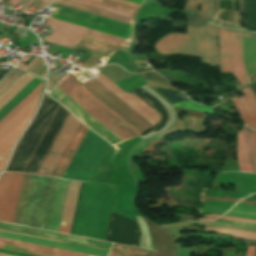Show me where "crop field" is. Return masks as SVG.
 <instances>
[{"instance_id":"crop-field-3","label":"crop field","mask_w":256,"mask_h":256,"mask_svg":"<svg viewBox=\"0 0 256 256\" xmlns=\"http://www.w3.org/2000/svg\"><path fill=\"white\" fill-rule=\"evenodd\" d=\"M156 50L160 54H177L202 57L210 67L218 65L216 26L188 25V35L170 33L159 40Z\"/></svg>"},{"instance_id":"crop-field-14","label":"crop field","mask_w":256,"mask_h":256,"mask_svg":"<svg viewBox=\"0 0 256 256\" xmlns=\"http://www.w3.org/2000/svg\"><path fill=\"white\" fill-rule=\"evenodd\" d=\"M244 96L231 99L243 124L256 129V97L249 86L241 90Z\"/></svg>"},{"instance_id":"crop-field-43","label":"crop field","mask_w":256,"mask_h":256,"mask_svg":"<svg viewBox=\"0 0 256 256\" xmlns=\"http://www.w3.org/2000/svg\"><path fill=\"white\" fill-rule=\"evenodd\" d=\"M236 205H238V206H244V207H250V208H256V206H254V205H247V204H241V203H238V204H236Z\"/></svg>"},{"instance_id":"crop-field-8","label":"crop field","mask_w":256,"mask_h":256,"mask_svg":"<svg viewBox=\"0 0 256 256\" xmlns=\"http://www.w3.org/2000/svg\"><path fill=\"white\" fill-rule=\"evenodd\" d=\"M40 94L0 130V171H2L18 136L31 118Z\"/></svg>"},{"instance_id":"crop-field-44","label":"crop field","mask_w":256,"mask_h":256,"mask_svg":"<svg viewBox=\"0 0 256 256\" xmlns=\"http://www.w3.org/2000/svg\"><path fill=\"white\" fill-rule=\"evenodd\" d=\"M251 130V133H252V136H253V139H254V142H255V146H256V132L252 129Z\"/></svg>"},{"instance_id":"crop-field-40","label":"crop field","mask_w":256,"mask_h":256,"mask_svg":"<svg viewBox=\"0 0 256 256\" xmlns=\"http://www.w3.org/2000/svg\"><path fill=\"white\" fill-rule=\"evenodd\" d=\"M0 230H2V229H0ZM3 231H8V230H3ZM8 232H13V231H8ZM14 233H18V232H14ZM19 234H23V233H19ZM25 235H28V234H25ZM30 236H34V235H30ZM36 237H39V236H36ZM41 238H44V237H41ZM47 239H49V238H47ZM52 240H55V239H52ZM57 241H60V240H57ZM63 242H65V241H63ZM68 243H70V242H68ZM74 244H76V243H74ZM79 245H81V244H79ZM86 246V245H85ZM91 247V246H90ZM102 249V248H101Z\"/></svg>"},{"instance_id":"crop-field-38","label":"crop field","mask_w":256,"mask_h":256,"mask_svg":"<svg viewBox=\"0 0 256 256\" xmlns=\"http://www.w3.org/2000/svg\"><path fill=\"white\" fill-rule=\"evenodd\" d=\"M254 250L255 248L248 247L246 256H254Z\"/></svg>"},{"instance_id":"crop-field-27","label":"crop field","mask_w":256,"mask_h":256,"mask_svg":"<svg viewBox=\"0 0 256 256\" xmlns=\"http://www.w3.org/2000/svg\"><path fill=\"white\" fill-rule=\"evenodd\" d=\"M204 232L231 233V235H234V236L256 240V232H247V231L222 229V228H210V227H205Z\"/></svg>"},{"instance_id":"crop-field-28","label":"crop field","mask_w":256,"mask_h":256,"mask_svg":"<svg viewBox=\"0 0 256 256\" xmlns=\"http://www.w3.org/2000/svg\"><path fill=\"white\" fill-rule=\"evenodd\" d=\"M242 131L245 137L248 154L251 158L252 166L254 168V173H256V150H255L254 142H253L251 133L247 129L244 128L242 129Z\"/></svg>"},{"instance_id":"crop-field-24","label":"crop field","mask_w":256,"mask_h":256,"mask_svg":"<svg viewBox=\"0 0 256 256\" xmlns=\"http://www.w3.org/2000/svg\"><path fill=\"white\" fill-rule=\"evenodd\" d=\"M237 154L240 171L253 173L242 131L238 133Z\"/></svg>"},{"instance_id":"crop-field-51","label":"crop field","mask_w":256,"mask_h":256,"mask_svg":"<svg viewBox=\"0 0 256 256\" xmlns=\"http://www.w3.org/2000/svg\"><path fill=\"white\" fill-rule=\"evenodd\" d=\"M0 256H11V255H6V254H1V253H0Z\"/></svg>"},{"instance_id":"crop-field-18","label":"crop field","mask_w":256,"mask_h":256,"mask_svg":"<svg viewBox=\"0 0 256 256\" xmlns=\"http://www.w3.org/2000/svg\"><path fill=\"white\" fill-rule=\"evenodd\" d=\"M87 129L88 128L82 125L80 122L76 132L74 133L69 145L67 146L63 156L61 157L57 167L55 168L51 176L62 178Z\"/></svg>"},{"instance_id":"crop-field-46","label":"crop field","mask_w":256,"mask_h":256,"mask_svg":"<svg viewBox=\"0 0 256 256\" xmlns=\"http://www.w3.org/2000/svg\"><path fill=\"white\" fill-rule=\"evenodd\" d=\"M21 0H10V4H15V5H18V3L20 2Z\"/></svg>"},{"instance_id":"crop-field-37","label":"crop field","mask_w":256,"mask_h":256,"mask_svg":"<svg viewBox=\"0 0 256 256\" xmlns=\"http://www.w3.org/2000/svg\"><path fill=\"white\" fill-rule=\"evenodd\" d=\"M37 58H38V56H36L27 66H25L23 64H19L18 67L26 70Z\"/></svg>"},{"instance_id":"crop-field-36","label":"crop field","mask_w":256,"mask_h":256,"mask_svg":"<svg viewBox=\"0 0 256 256\" xmlns=\"http://www.w3.org/2000/svg\"><path fill=\"white\" fill-rule=\"evenodd\" d=\"M200 202L215 203V204H230V205L236 204V203H234V202L206 201V200H200Z\"/></svg>"},{"instance_id":"crop-field-39","label":"crop field","mask_w":256,"mask_h":256,"mask_svg":"<svg viewBox=\"0 0 256 256\" xmlns=\"http://www.w3.org/2000/svg\"><path fill=\"white\" fill-rule=\"evenodd\" d=\"M47 5V3H45V2H41V4L38 6V8L35 10V12H37V11H39V10H41L43 7H45ZM34 12V13H35Z\"/></svg>"},{"instance_id":"crop-field-15","label":"crop field","mask_w":256,"mask_h":256,"mask_svg":"<svg viewBox=\"0 0 256 256\" xmlns=\"http://www.w3.org/2000/svg\"><path fill=\"white\" fill-rule=\"evenodd\" d=\"M202 4V12H198L199 3ZM187 15V23L201 26L208 23L211 16L214 14L213 0H187L183 9Z\"/></svg>"},{"instance_id":"crop-field-42","label":"crop field","mask_w":256,"mask_h":256,"mask_svg":"<svg viewBox=\"0 0 256 256\" xmlns=\"http://www.w3.org/2000/svg\"><path fill=\"white\" fill-rule=\"evenodd\" d=\"M126 1H129V2H133V3H136V4L142 5L143 2H145L146 0H139V1H143V2H139V1H136V0H126Z\"/></svg>"},{"instance_id":"crop-field-12","label":"crop field","mask_w":256,"mask_h":256,"mask_svg":"<svg viewBox=\"0 0 256 256\" xmlns=\"http://www.w3.org/2000/svg\"><path fill=\"white\" fill-rule=\"evenodd\" d=\"M79 122H80L79 120H77L74 116L70 114L57 140L55 141L43 165L41 166L38 172V175L50 176L57 161L59 160L61 154L63 153L66 145L68 144L75 129L77 128Z\"/></svg>"},{"instance_id":"crop-field-6","label":"crop field","mask_w":256,"mask_h":256,"mask_svg":"<svg viewBox=\"0 0 256 256\" xmlns=\"http://www.w3.org/2000/svg\"><path fill=\"white\" fill-rule=\"evenodd\" d=\"M221 72H232L242 86L249 84L243 64L242 32L218 28Z\"/></svg>"},{"instance_id":"crop-field-17","label":"crop field","mask_w":256,"mask_h":256,"mask_svg":"<svg viewBox=\"0 0 256 256\" xmlns=\"http://www.w3.org/2000/svg\"><path fill=\"white\" fill-rule=\"evenodd\" d=\"M69 1H73V2H76V3H80V4H83V5H87V6H90V7H94V8L100 9V10H104V11H107V12H111V13H114V14H118V15H121V16L132 18V19H133V15H134L133 13H135V11L140 7V5H136V4H133V3L126 2V1H122V0H90V1L97 2V3L112 6V7H115V8H119V9H122V10H126V11H129V12H133V13H129V12L122 11V10H119V9L111 8V7L104 6V5H101V4H97V3H94V2H90V1H87V0H69Z\"/></svg>"},{"instance_id":"crop-field-49","label":"crop field","mask_w":256,"mask_h":256,"mask_svg":"<svg viewBox=\"0 0 256 256\" xmlns=\"http://www.w3.org/2000/svg\"><path fill=\"white\" fill-rule=\"evenodd\" d=\"M45 94H46V93H45ZM44 96H45V95H44ZM48 97H49V96H48ZM51 100H52V99H51ZM23 135H24V134H23ZM21 138H22V137H21ZM20 141H21V140H20ZM20 141H19V142H20ZM18 144H19V143H18ZM13 156H14V155H13ZM12 158H13V157H12ZM11 160H12V159H11ZM10 162H11V161H10ZM9 164H10V163H9ZM8 166H9V165H8ZM6 170H7V169H6ZM6 170H5V172H14V171H6Z\"/></svg>"},{"instance_id":"crop-field-7","label":"crop field","mask_w":256,"mask_h":256,"mask_svg":"<svg viewBox=\"0 0 256 256\" xmlns=\"http://www.w3.org/2000/svg\"><path fill=\"white\" fill-rule=\"evenodd\" d=\"M45 23V22H44ZM51 25L50 28L56 29L53 34L45 37L44 40L52 42L64 47L74 49L76 45L80 42L81 38L86 35L93 38L101 39L111 43L119 44L128 47L130 41L108 34L92 31L83 27H79L67 22H63L54 18L49 17L46 23L43 25L47 27Z\"/></svg>"},{"instance_id":"crop-field-31","label":"crop field","mask_w":256,"mask_h":256,"mask_svg":"<svg viewBox=\"0 0 256 256\" xmlns=\"http://www.w3.org/2000/svg\"><path fill=\"white\" fill-rule=\"evenodd\" d=\"M174 106L200 111V112H203V113H206V114H209V115H211V113L213 111V108H211V107L196 104V103L191 102L190 100L184 101V102H181V103H177Z\"/></svg>"},{"instance_id":"crop-field-53","label":"crop field","mask_w":256,"mask_h":256,"mask_svg":"<svg viewBox=\"0 0 256 256\" xmlns=\"http://www.w3.org/2000/svg\"><path fill=\"white\" fill-rule=\"evenodd\" d=\"M62 106V105H61ZM63 107V106H62ZM64 108V107H63ZM65 109V108H64ZM66 110V109H65ZM67 111V110H66ZM68 112V111H67ZM69 113V112H68ZM70 114V113H69ZM69 116V115H68ZM64 125V124H63ZM63 127V126H62ZM59 134V133H58ZM58 136V135H57ZM53 145V144H52ZM42 165V164H41Z\"/></svg>"},{"instance_id":"crop-field-34","label":"crop field","mask_w":256,"mask_h":256,"mask_svg":"<svg viewBox=\"0 0 256 256\" xmlns=\"http://www.w3.org/2000/svg\"><path fill=\"white\" fill-rule=\"evenodd\" d=\"M220 219L229 220V221H240V222L256 223V221H254V220H243V219L230 218V217H225V216L220 217Z\"/></svg>"},{"instance_id":"crop-field-33","label":"crop field","mask_w":256,"mask_h":256,"mask_svg":"<svg viewBox=\"0 0 256 256\" xmlns=\"http://www.w3.org/2000/svg\"><path fill=\"white\" fill-rule=\"evenodd\" d=\"M200 199H207V200H223V201H235L238 202L237 199H229V198H217V197H206V196H200Z\"/></svg>"},{"instance_id":"crop-field-47","label":"crop field","mask_w":256,"mask_h":256,"mask_svg":"<svg viewBox=\"0 0 256 256\" xmlns=\"http://www.w3.org/2000/svg\"><path fill=\"white\" fill-rule=\"evenodd\" d=\"M241 203H247V204H256V202H251V201H245V200H242L240 201Z\"/></svg>"},{"instance_id":"crop-field-2","label":"crop field","mask_w":256,"mask_h":256,"mask_svg":"<svg viewBox=\"0 0 256 256\" xmlns=\"http://www.w3.org/2000/svg\"><path fill=\"white\" fill-rule=\"evenodd\" d=\"M115 188L82 182L70 234L104 240Z\"/></svg>"},{"instance_id":"crop-field-4","label":"crop field","mask_w":256,"mask_h":256,"mask_svg":"<svg viewBox=\"0 0 256 256\" xmlns=\"http://www.w3.org/2000/svg\"><path fill=\"white\" fill-rule=\"evenodd\" d=\"M108 145L88 129L63 178L89 181Z\"/></svg>"},{"instance_id":"crop-field-9","label":"crop field","mask_w":256,"mask_h":256,"mask_svg":"<svg viewBox=\"0 0 256 256\" xmlns=\"http://www.w3.org/2000/svg\"><path fill=\"white\" fill-rule=\"evenodd\" d=\"M50 184L32 179L21 225L40 228Z\"/></svg>"},{"instance_id":"crop-field-45","label":"crop field","mask_w":256,"mask_h":256,"mask_svg":"<svg viewBox=\"0 0 256 256\" xmlns=\"http://www.w3.org/2000/svg\"><path fill=\"white\" fill-rule=\"evenodd\" d=\"M32 2V0H29L26 5L22 8L21 12H24L25 9L28 7V5Z\"/></svg>"},{"instance_id":"crop-field-19","label":"crop field","mask_w":256,"mask_h":256,"mask_svg":"<svg viewBox=\"0 0 256 256\" xmlns=\"http://www.w3.org/2000/svg\"><path fill=\"white\" fill-rule=\"evenodd\" d=\"M69 181L59 179L55 198L51 210V215L48 223L47 229L57 231L59 230V225L61 221L63 206L65 202L66 192L68 188Z\"/></svg>"},{"instance_id":"crop-field-25","label":"crop field","mask_w":256,"mask_h":256,"mask_svg":"<svg viewBox=\"0 0 256 256\" xmlns=\"http://www.w3.org/2000/svg\"><path fill=\"white\" fill-rule=\"evenodd\" d=\"M200 195L207 196H218V197H230V198H238L243 199L251 194L248 193H240L236 191H228V190H210V189H202Z\"/></svg>"},{"instance_id":"crop-field-13","label":"crop field","mask_w":256,"mask_h":256,"mask_svg":"<svg viewBox=\"0 0 256 256\" xmlns=\"http://www.w3.org/2000/svg\"><path fill=\"white\" fill-rule=\"evenodd\" d=\"M101 84L104 85L116 96H118L121 100H123L126 104H128L131 108H133L136 112L142 115L150 123H152L153 125L157 123L160 114H158L155 110H153L141 99H139L134 95L124 92L109 79L104 81Z\"/></svg>"},{"instance_id":"crop-field-16","label":"crop field","mask_w":256,"mask_h":256,"mask_svg":"<svg viewBox=\"0 0 256 256\" xmlns=\"http://www.w3.org/2000/svg\"><path fill=\"white\" fill-rule=\"evenodd\" d=\"M12 73V72H11ZM10 73V74H11ZM24 71L16 69L11 75H9L0 84V95L14 82L16 81ZM34 76L24 73L16 82H14L1 96H0V108L6 104L16 93H18L28 82H30Z\"/></svg>"},{"instance_id":"crop-field-22","label":"crop field","mask_w":256,"mask_h":256,"mask_svg":"<svg viewBox=\"0 0 256 256\" xmlns=\"http://www.w3.org/2000/svg\"><path fill=\"white\" fill-rule=\"evenodd\" d=\"M55 3H59V4H62V5H65V6H69V7L75 8V9L86 11V12H89V13H92V14H96V15H99V16H102V17H106V18H109V19H113V20H116V21L123 22V23L134 26V22H133L132 19H128V18H125V17H121V16H118V15H114V14H111V13L100 11V10H97V9H94V8H90V7L83 6V5H80V4H76V3H73V2H69V1H66V0H57Z\"/></svg>"},{"instance_id":"crop-field-48","label":"crop field","mask_w":256,"mask_h":256,"mask_svg":"<svg viewBox=\"0 0 256 256\" xmlns=\"http://www.w3.org/2000/svg\"><path fill=\"white\" fill-rule=\"evenodd\" d=\"M109 256H119L118 254H116L114 251H111Z\"/></svg>"},{"instance_id":"crop-field-26","label":"crop field","mask_w":256,"mask_h":256,"mask_svg":"<svg viewBox=\"0 0 256 256\" xmlns=\"http://www.w3.org/2000/svg\"><path fill=\"white\" fill-rule=\"evenodd\" d=\"M228 216L256 220V209L234 206L227 214Z\"/></svg>"},{"instance_id":"crop-field-11","label":"crop field","mask_w":256,"mask_h":256,"mask_svg":"<svg viewBox=\"0 0 256 256\" xmlns=\"http://www.w3.org/2000/svg\"><path fill=\"white\" fill-rule=\"evenodd\" d=\"M42 82L43 80L35 77L30 83H28L18 94H16L6 105L0 109V120L5 117L16 105H18ZM43 83L39 85L30 95H28L18 106H16L5 118L0 121V129L41 92Z\"/></svg>"},{"instance_id":"crop-field-35","label":"crop field","mask_w":256,"mask_h":256,"mask_svg":"<svg viewBox=\"0 0 256 256\" xmlns=\"http://www.w3.org/2000/svg\"><path fill=\"white\" fill-rule=\"evenodd\" d=\"M0 252L1 253H6V254H11V255H17V256H35V255H30V254H24V253H19V252L3 250V249H0Z\"/></svg>"},{"instance_id":"crop-field-41","label":"crop field","mask_w":256,"mask_h":256,"mask_svg":"<svg viewBox=\"0 0 256 256\" xmlns=\"http://www.w3.org/2000/svg\"><path fill=\"white\" fill-rule=\"evenodd\" d=\"M221 215H208V216H203V217H213V218H217ZM198 220H215V219H198Z\"/></svg>"},{"instance_id":"crop-field-23","label":"crop field","mask_w":256,"mask_h":256,"mask_svg":"<svg viewBox=\"0 0 256 256\" xmlns=\"http://www.w3.org/2000/svg\"><path fill=\"white\" fill-rule=\"evenodd\" d=\"M0 243L34 249V250H40V251H45V252H50V253H55L60 255H66V256H89V255H84V254H79V253L54 249V248H48V247H43V246H38V245H33V244L3 239V238H0Z\"/></svg>"},{"instance_id":"crop-field-29","label":"crop field","mask_w":256,"mask_h":256,"mask_svg":"<svg viewBox=\"0 0 256 256\" xmlns=\"http://www.w3.org/2000/svg\"><path fill=\"white\" fill-rule=\"evenodd\" d=\"M137 221H138V224L140 227V231L142 233L139 247L153 250L151 241H150V237H149V233L147 230V226H146L144 220L141 217H137Z\"/></svg>"},{"instance_id":"crop-field-1","label":"crop field","mask_w":256,"mask_h":256,"mask_svg":"<svg viewBox=\"0 0 256 256\" xmlns=\"http://www.w3.org/2000/svg\"><path fill=\"white\" fill-rule=\"evenodd\" d=\"M69 75V74H68ZM66 76L64 80L56 87L66 95L71 97L75 102H77L85 111H87L93 118L99 121L102 125L108 128L111 132H113L120 139L127 140L134 136L141 134L136 128L130 125L127 121H125L122 117L116 114L113 110H111L108 106L102 103L99 99H97L94 95L88 92L85 88H83L80 84L74 81L71 77ZM60 94H62L65 98H67L71 103H73L78 109H80L85 115H87L91 120L97 123L100 127L110 133L117 140L122 142L118 137H116L113 133L107 130L104 126H102L99 122L93 119L88 113H86L78 104H76L71 98L63 94L58 89ZM53 90L50 93V96L53 97L58 102L62 103L73 115H75L79 120H81L84 124H86L89 128L103 137L111 144H115L117 141L110 134L100 128L97 124L91 121L87 116H85L80 110H78L73 104H71L67 99H65L62 95H60L57 91Z\"/></svg>"},{"instance_id":"crop-field-10","label":"crop field","mask_w":256,"mask_h":256,"mask_svg":"<svg viewBox=\"0 0 256 256\" xmlns=\"http://www.w3.org/2000/svg\"><path fill=\"white\" fill-rule=\"evenodd\" d=\"M22 176L4 173L0 178V221H13Z\"/></svg>"},{"instance_id":"crop-field-32","label":"crop field","mask_w":256,"mask_h":256,"mask_svg":"<svg viewBox=\"0 0 256 256\" xmlns=\"http://www.w3.org/2000/svg\"><path fill=\"white\" fill-rule=\"evenodd\" d=\"M0 248L24 252V253H30V254L40 255V256H60V255H55V254H50V253H45V252H40V251H34V250H29V249L14 247V246H8V245H3V244H0Z\"/></svg>"},{"instance_id":"crop-field-30","label":"crop field","mask_w":256,"mask_h":256,"mask_svg":"<svg viewBox=\"0 0 256 256\" xmlns=\"http://www.w3.org/2000/svg\"><path fill=\"white\" fill-rule=\"evenodd\" d=\"M204 206H210V207L198 208L201 215H203V214H223L232 207L230 205H214V204H204Z\"/></svg>"},{"instance_id":"crop-field-5","label":"crop field","mask_w":256,"mask_h":256,"mask_svg":"<svg viewBox=\"0 0 256 256\" xmlns=\"http://www.w3.org/2000/svg\"><path fill=\"white\" fill-rule=\"evenodd\" d=\"M52 6H56L58 8L51 15V17L130 40L133 37V26H129L55 3H53Z\"/></svg>"},{"instance_id":"crop-field-20","label":"crop field","mask_w":256,"mask_h":256,"mask_svg":"<svg viewBox=\"0 0 256 256\" xmlns=\"http://www.w3.org/2000/svg\"><path fill=\"white\" fill-rule=\"evenodd\" d=\"M79 186H80V182L70 181L67 198H66V203H65V207H64V212H63V217H62V221H61V223H63V224L71 225ZM63 224H61L59 232L69 234L70 226L63 225Z\"/></svg>"},{"instance_id":"crop-field-21","label":"crop field","mask_w":256,"mask_h":256,"mask_svg":"<svg viewBox=\"0 0 256 256\" xmlns=\"http://www.w3.org/2000/svg\"><path fill=\"white\" fill-rule=\"evenodd\" d=\"M0 228L23 232V233H28V234L39 235V236H44V237H49V238H55V239H60V240H65V241H70V242H76V243H81V244H86V245H91V246H96V247H102V248H107V249H110V247H111L110 244L94 242V241H89V240H84V239H79V238H74V237H69V236H63V235H58V234H53V233H48V232H43V231H37V230H32V229H27V228L12 226V225H6V224H1V223H0Z\"/></svg>"},{"instance_id":"crop-field-52","label":"crop field","mask_w":256,"mask_h":256,"mask_svg":"<svg viewBox=\"0 0 256 256\" xmlns=\"http://www.w3.org/2000/svg\"><path fill=\"white\" fill-rule=\"evenodd\" d=\"M43 1H45V2L49 3V2H51L52 0H43Z\"/></svg>"},{"instance_id":"crop-field-50","label":"crop field","mask_w":256,"mask_h":256,"mask_svg":"<svg viewBox=\"0 0 256 256\" xmlns=\"http://www.w3.org/2000/svg\"><path fill=\"white\" fill-rule=\"evenodd\" d=\"M245 199H247V200H255L256 201V198H252V197H247Z\"/></svg>"}]
</instances>
